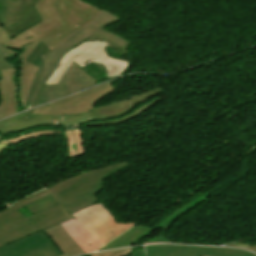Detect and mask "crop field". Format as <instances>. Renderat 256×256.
<instances>
[{
    "mask_svg": "<svg viewBox=\"0 0 256 256\" xmlns=\"http://www.w3.org/2000/svg\"><path fill=\"white\" fill-rule=\"evenodd\" d=\"M163 89L156 88L126 101L95 108L91 112L68 116H37L31 115L32 110L0 121V134H11L39 125L65 126L91 121H103L121 117L130 113L138 105L162 93Z\"/></svg>",
    "mask_w": 256,
    "mask_h": 256,
    "instance_id": "2",
    "label": "crop field"
},
{
    "mask_svg": "<svg viewBox=\"0 0 256 256\" xmlns=\"http://www.w3.org/2000/svg\"><path fill=\"white\" fill-rule=\"evenodd\" d=\"M146 256H256L242 249L177 245L147 246Z\"/></svg>",
    "mask_w": 256,
    "mask_h": 256,
    "instance_id": "13",
    "label": "crop field"
},
{
    "mask_svg": "<svg viewBox=\"0 0 256 256\" xmlns=\"http://www.w3.org/2000/svg\"><path fill=\"white\" fill-rule=\"evenodd\" d=\"M19 52L0 44V70L15 68L14 64H8L6 58L18 55Z\"/></svg>",
    "mask_w": 256,
    "mask_h": 256,
    "instance_id": "23",
    "label": "crop field"
},
{
    "mask_svg": "<svg viewBox=\"0 0 256 256\" xmlns=\"http://www.w3.org/2000/svg\"><path fill=\"white\" fill-rule=\"evenodd\" d=\"M34 8L43 21L28 29L41 40L26 59L39 67L27 98L28 108L44 71L42 57L104 12L81 0H40Z\"/></svg>",
    "mask_w": 256,
    "mask_h": 256,
    "instance_id": "1",
    "label": "crop field"
},
{
    "mask_svg": "<svg viewBox=\"0 0 256 256\" xmlns=\"http://www.w3.org/2000/svg\"><path fill=\"white\" fill-rule=\"evenodd\" d=\"M110 46L102 40L91 37L89 40L72 49L59 62L54 74L45 85L58 84L67 69L75 61L81 68L94 63L101 71H107L105 78L121 75L129 66L125 60L110 59L105 54V47Z\"/></svg>",
    "mask_w": 256,
    "mask_h": 256,
    "instance_id": "4",
    "label": "crop field"
},
{
    "mask_svg": "<svg viewBox=\"0 0 256 256\" xmlns=\"http://www.w3.org/2000/svg\"><path fill=\"white\" fill-rule=\"evenodd\" d=\"M132 256H145V252L140 251V250H136L135 254H133Z\"/></svg>",
    "mask_w": 256,
    "mask_h": 256,
    "instance_id": "29",
    "label": "crop field"
},
{
    "mask_svg": "<svg viewBox=\"0 0 256 256\" xmlns=\"http://www.w3.org/2000/svg\"><path fill=\"white\" fill-rule=\"evenodd\" d=\"M69 142V158L85 155V150L81 141L80 129L63 131Z\"/></svg>",
    "mask_w": 256,
    "mask_h": 256,
    "instance_id": "21",
    "label": "crop field"
},
{
    "mask_svg": "<svg viewBox=\"0 0 256 256\" xmlns=\"http://www.w3.org/2000/svg\"><path fill=\"white\" fill-rule=\"evenodd\" d=\"M151 242H171L169 241L166 237H164L163 235H160L159 237L153 239V240H150V241H147V242H144V243H151Z\"/></svg>",
    "mask_w": 256,
    "mask_h": 256,
    "instance_id": "27",
    "label": "crop field"
},
{
    "mask_svg": "<svg viewBox=\"0 0 256 256\" xmlns=\"http://www.w3.org/2000/svg\"><path fill=\"white\" fill-rule=\"evenodd\" d=\"M49 195V193L46 191V190H43L37 194H34L30 197H27L21 201H18L16 202L15 204H13L12 206H10L9 208H7L6 210H4L3 212L0 213V231L5 229V228H8L10 226H13L17 223H20L22 221H25L29 218H32L34 216H37L41 213H44L48 210H51L53 208H56L58 206H60V204L52 207V208H49L45 211H42L36 215H33V216H30V217H27L25 218L23 215H21L17 210L36 201V200H39L45 196Z\"/></svg>",
    "mask_w": 256,
    "mask_h": 256,
    "instance_id": "15",
    "label": "crop field"
},
{
    "mask_svg": "<svg viewBox=\"0 0 256 256\" xmlns=\"http://www.w3.org/2000/svg\"><path fill=\"white\" fill-rule=\"evenodd\" d=\"M70 219H73V217L63 206H60L56 209L1 231L0 247Z\"/></svg>",
    "mask_w": 256,
    "mask_h": 256,
    "instance_id": "10",
    "label": "crop field"
},
{
    "mask_svg": "<svg viewBox=\"0 0 256 256\" xmlns=\"http://www.w3.org/2000/svg\"><path fill=\"white\" fill-rule=\"evenodd\" d=\"M160 100H162V99L157 96L156 98H154V99H152V100L142 104L137 109L132 111V113H130V114H128V115H126V116H124L122 118H117V119H113V120H109V121H104V122L85 123V127L121 124V123H123L125 121H128V120H130L132 118H135V117L139 116L140 114H142L144 111H146L147 109L152 107L154 104H156Z\"/></svg>",
    "mask_w": 256,
    "mask_h": 256,
    "instance_id": "20",
    "label": "crop field"
},
{
    "mask_svg": "<svg viewBox=\"0 0 256 256\" xmlns=\"http://www.w3.org/2000/svg\"><path fill=\"white\" fill-rule=\"evenodd\" d=\"M121 19L115 17L114 15L110 14L109 12H104L89 24L84 26L82 29L77 31L59 46H57L54 50L48 53L46 56L43 57L45 71L37 85L35 95L31 104V107L35 105L36 99L38 97L39 91L44 83L48 80V78L52 75L57 63L63 57V55L70 51L72 48L76 47L80 43L84 42L85 40L89 39L92 35L102 39L103 41L107 42L111 46L129 54L126 49L130 42L104 30L103 28L119 21ZM50 57L48 60L47 58ZM30 107V108H31Z\"/></svg>",
    "mask_w": 256,
    "mask_h": 256,
    "instance_id": "3",
    "label": "crop field"
},
{
    "mask_svg": "<svg viewBox=\"0 0 256 256\" xmlns=\"http://www.w3.org/2000/svg\"><path fill=\"white\" fill-rule=\"evenodd\" d=\"M103 188L104 187H101L84 195L63 202L61 204L70 212V214H72L96 203L98 200L94 195L97 194Z\"/></svg>",
    "mask_w": 256,
    "mask_h": 256,
    "instance_id": "19",
    "label": "crop field"
},
{
    "mask_svg": "<svg viewBox=\"0 0 256 256\" xmlns=\"http://www.w3.org/2000/svg\"><path fill=\"white\" fill-rule=\"evenodd\" d=\"M39 41L40 40L36 38L28 30L10 40L4 27L0 23V43L14 50L20 51L19 53V60H20L19 98H20V103L23 110H25L26 98H27L34 74L37 70V67L25 62L24 60L26 59V57L29 55V53L32 51V49L36 46V44Z\"/></svg>",
    "mask_w": 256,
    "mask_h": 256,
    "instance_id": "8",
    "label": "crop field"
},
{
    "mask_svg": "<svg viewBox=\"0 0 256 256\" xmlns=\"http://www.w3.org/2000/svg\"><path fill=\"white\" fill-rule=\"evenodd\" d=\"M39 0H0V22L10 38L42 21L33 5Z\"/></svg>",
    "mask_w": 256,
    "mask_h": 256,
    "instance_id": "9",
    "label": "crop field"
},
{
    "mask_svg": "<svg viewBox=\"0 0 256 256\" xmlns=\"http://www.w3.org/2000/svg\"><path fill=\"white\" fill-rule=\"evenodd\" d=\"M152 231L154 230L137 224L99 251L129 246Z\"/></svg>",
    "mask_w": 256,
    "mask_h": 256,
    "instance_id": "18",
    "label": "crop field"
},
{
    "mask_svg": "<svg viewBox=\"0 0 256 256\" xmlns=\"http://www.w3.org/2000/svg\"><path fill=\"white\" fill-rule=\"evenodd\" d=\"M0 79H1V77H0Z\"/></svg>",
    "mask_w": 256,
    "mask_h": 256,
    "instance_id": "30",
    "label": "crop field"
},
{
    "mask_svg": "<svg viewBox=\"0 0 256 256\" xmlns=\"http://www.w3.org/2000/svg\"><path fill=\"white\" fill-rule=\"evenodd\" d=\"M8 145H10V143L6 139L0 141V150H2L3 148H5Z\"/></svg>",
    "mask_w": 256,
    "mask_h": 256,
    "instance_id": "28",
    "label": "crop field"
},
{
    "mask_svg": "<svg viewBox=\"0 0 256 256\" xmlns=\"http://www.w3.org/2000/svg\"><path fill=\"white\" fill-rule=\"evenodd\" d=\"M60 250L44 231L0 248V256H59Z\"/></svg>",
    "mask_w": 256,
    "mask_h": 256,
    "instance_id": "12",
    "label": "crop field"
},
{
    "mask_svg": "<svg viewBox=\"0 0 256 256\" xmlns=\"http://www.w3.org/2000/svg\"><path fill=\"white\" fill-rule=\"evenodd\" d=\"M227 246H232V247H243V248H248L252 250H256V245H248V244H242V243H235Z\"/></svg>",
    "mask_w": 256,
    "mask_h": 256,
    "instance_id": "26",
    "label": "crop field"
},
{
    "mask_svg": "<svg viewBox=\"0 0 256 256\" xmlns=\"http://www.w3.org/2000/svg\"><path fill=\"white\" fill-rule=\"evenodd\" d=\"M113 81L97 86L93 89L81 92L76 95L68 96L51 104L35 108L32 114L38 115H67L91 111L94 104L114 91Z\"/></svg>",
    "mask_w": 256,
    "mask_h": 256,
    "instance_id": "6",
    "label": "crop field"
},
{
    "mask_svg": "<svg viewBox=\"0 0 256 256\" xmlns=\"http://www.w3.org/2000/svg\"><path fill=\"white\" fill-rule=\"evenodd\" d=\"M61 226L85 253L103 247L77 220L61 223Z\"/></svg>",
    "mask_w": 256,
    "mask_h": 256,
    "instance_id": "16",
    "label": "crop field"
},
{
    "mask_svg": "<svg viewBox=\"0 0 256 256\" xmlns=\"http://www.w3.org/2000/svg\"><path fill=\"white\" fill-rule=\"evenodd\" d=\"M209 194H205L201 197H199L198 199L194 200L193 202L185 205L184 207L178 209L177 211L171 213L157 228H162L164 230L168 229L169 226L177 219L179 218L182 214H184L185 212H187L188 210H190L192 207H194L196 204H198L199 202L208 199L209 198Z\"/></svg>",
    "mask_w": 256,
    "mask_h": 256,
    "instance_id": "22",
    "label": "crop field"
},
{
    "mask_svg": "<svg viewBox=\"0 0 256 256\" xmlns=\"http://www.w3.org/2000/svg\"><path fill=\"white\" fill-rule=\"evenodd\" d=\"M103 246L136 223H117L115 217L98 203L72 214Z\"/></svg>",
    "mask_w": 256,
    "mask_h": 256,
    "instance_id": "5",
    "label": "crop field"
},
{
    "mask_svg": "<svg viewBox=\"0 0 256 256\" xmlns=\"http://www.w3.org/2000/svg\"><path fill=\"white\" fill-rule=\"evenodd\" d=\"M48 134H63V133H62V131H41V132H36V133L28 134V135H25V136H19V137H16V138H10V139H7V140L10 143H18L20 141H24V140H28V139H32V138L48 135Z\"/></svg>",
    "mask_w": 256,
    "mask_h": 256,
    "instance_id": "24",
    "label": "crop field"
},
{
    "mask_svg": "<svg viewBox=\"0 0 256 256\" xmlns=\"http://www.w3.org/2000/svg\"><path fill=\"white\" fill-rule=\"evenodd\" d=\"M96 81L74 62L58 85L43 86L36 105L87 88L94 85Z\"/></svg>",
    "mask_w": 256,
    "mask_h": 256,
    "instance_id": "11",
    "label": "crop field"
},
{
    "mask_svg": "<svg viewBox=\"0 0 256 256\" xmlns=\"http://www.w3.org/2000/svg\"><path fill=\"white\" fill-rule=\"evenodd\" d=\"M131 251H132V249H127V250H121V251H115V252L96 254V255H91V256H125V255L129 254Z\"/></svg>",
    "mask_w": 256,
    "mask_h": 256,
    "instance_id": "25",
    "label": "crop field"
},
{
    "mask_svg": "<svg viewBox=\"0 0 256 256\" xmlns=\"http://www.w3.org/2000/svg\"><path fill=\"white\" fill-rule=\"evenodd\" d=\"M129 166L126 162L95 170L85 174L67 179L59 184H56L47 190L59 202L66 201L78 195L84 194L96 188L103 186L106 176L115 173Z\"/></svg>",
    "mask_w": 256,
    "mask_h": 256,
    "instance_id": "7",
    "label": "crop field"
},
{
    "mask_svg": "<svg viewBox=\"0 0 256 256\" xmlns=\"http://www.w3.org/2000/svg\"><path fill=\"white\" fill-rule=\"evenodd\" d=\"M45 232L62 251L64 254L62 256H75L84 253L59 224L45 230Z\"/></svg>",
    "mask_w": 256,
    "mask_h": 256,
    "instance_id": "17",
    "label": "crop field"
},
{
    "mask_svg": "<svg viewBox=\"0 0 256 256\" xmlns=\"http://www.w3.org/2000/svg\"><path fill=\"white\" fill-rule=\"evenodd\" d=\"M0 90L2 103L0 105V118L22 111L18 98V83L16 82V70L0 71Z\"/></svg>",
    "mask_w": 256,
    "mask_h": 256,
    "instance_id": "14",
    "label": "crop field"
}]
</instances>
